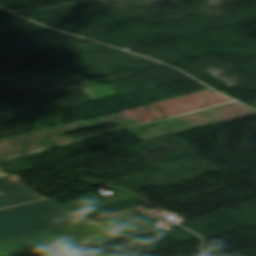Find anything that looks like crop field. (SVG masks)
<instances>
[{"label": "crop field", "instance_id": "crop-field-1", "mask_svg": "<svg viewBox=\"0 0 256 256\" xmlns=\"http://www.w3.org/2000/svg\"><path fill=\"white\" fill-rule=\"evenodd\" d=\"M123 236L107 221L87 220L0 242V256H44Z\"/></svg>", "mask_w": 256, "mask_h": 256}, {"label": "crop field", "instance_id": "crop-field-4", "mask_svg": "<svg viewBox=\"0 0 256 256\" xmlns=\"http://www.w3.org/2000/svg\"><path fill=\"white\" fill-rule=\"evenodd\" d=\"M54 256H100V253L96 249L89 247V248L71 251V252L58 254Z\"/></svg>", "mask_w": 256, "mask_h": 256}, {"label": "crop field", "instance_id": "crop-field-3", "mask_svg": "<svg viewBox=\"0 0 256 256\" xmlns=\"http://www.w3.org/2000/svg\"><path fill=\"white\" fill-rule=\"evenodd\" d=\"M0 208L44 198L29 191L27 186L21 182L16 175L0 178ZM0 200V201H2Z\"/></svg>", "mask_w": 256, "mask_h": 256}, {"label": "crop field", "instance_id": "crop-field-5", "mask_svg": "<svg viewBox=\"0 0 256 256\" xmlns=\"http://www.w3.org/2000/svg\"><path fill=\"white\" fill-rule=\"evenodd\" d=\"M6 174L0 169V177L5 176Z\"/></svg>", "mask_w": 256, "mask_h": 256}, {"label": "crop field", "instance_id": "crop-field-2", "mask_svg": "<svg viewBox=\"0 0 256 256\" xmlns=\"http://www.w3.org/2000/svg\"><path fill=\"white\" fill-rule=\"evenodd\" d=\"M46 199L0 211V241L83 221Z\"/></svg>", "mask_w": 256, "mask_h": 256}]
</instances>
